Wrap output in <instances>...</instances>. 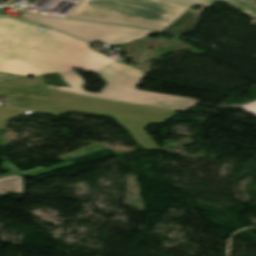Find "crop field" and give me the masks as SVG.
I'll return each instance as SVG.
<instances>
[{"mask_svg": "<svg viewBox=\"0 0 256 256\" xmlns=\"http://www.w3.org/2000/svg\"><path fill=\"white\" fill-rule=\"evenodd\" d=\"M195 19H196V12L194 10L189 9L179 19H177L171 26L162 30V32L176 34L179 32L186 31L192 27Z\"/></svg>", "mask_w": 256, "mask_h": 256, "instance_id": "obj_7", "label": "crop field"}, {"mask_svg": "<svg viewBox=\"0 0 256 256\" xmlns=\"http://www.w3.org/2000/svg\"><path fill=\"white\" fill-rule=\"evenodd\" d=\"M208 0H83L66 17L162 30Z\"/></svg>", "mask_w": 256, "mask_h": 256, "instance_id": "obj_3", "label": "crop field"}, {"mask_svg": "<svg viewBox=\"0 0 256 256\" xmlns=\"http://www.w3.org/2000/svg\"><path fill=\"white\" fill-rule=\"evenodd\" d=\"M236 106H240L256 116V102H253V103L247 104V105H236ZM220 107H229V106H220Z\"/></svg>", "mask_w": 256, "mask_h": 256, "instance_id": "obj_10", "label": "crop field"}, {"mask_svg": "<svg viewBox=\"0 0 256 256\" xmlns=\"http://www.w3.org/2000/svg\"><path fill=\"white\" fill-rule=\"evenodd\" d=\"M215 0L208 1L204 6H208ZM238 8L239 10L247 13L251 17H256V0H223ZM214 3V2H213Z\"/></svg>", "mask_w": 256, "mask_h": 256, "instance_id": "obj_8", "label": "crop field"}, {"mask_svg": "<svg viewBox=\"0 0 256 256\" xmlns=\"http://www.w3.org/2000/svg\"><path fill=\"white\" fill-rule=\"evenodd\" d=\"M76 165L75 163H69V162H65V163H61V164H57L55 166L49 167L47 169H44L42 167H38V168H34L31 170H27V171H19L12 163H10L7 159L2 163L1 165V169L8 171V172H16L19 173L21 175L27 176V177H36V176H40L43 174H47L53 171H57L69 166H73Z\"/></svg>", "mask_w": 256, "mask_h": 256, "instance_id": "obj_5", "label": "crop field"}, {"mask_svg": "<svg viewBox=\"0 0 256 256\" xmlns=\"http://www.w3.org/2000/svg\"><path fill=\"white\" fill-rule=\"evenodd\" d=\"M23 190L24 184L21 176L11 173L0 175V197L8 192L22 195Z\"/></svg>", "mask_w": 256, "mask_h": 256, "instance_id": "obj_6", "label": "crop field"}, {"mask_svg": "<svg viewBox=\"0 0 256 256\" xmlns=\"http://www.w3.org/2000/svg\"><path fill=\"white\" fill-rule=\"evenodd\" d=\"M0 95L11 97L8 106L63 113L78 110L114 116L137 139L144 149H160L143 130L148 123H161L176 111L82 97L46 88L44 78L0 82Z\"/></svg>", "mask_w": 256, "mask_h": 256, "instance_id": "obj_2", "label": "crop field"}, {"mask_svg": "<svg viewBox=\"0 0 256 256\" xmlns=\"http://www.w3.org/2000/svg\"><path fill=\"white\" fill-rule=\"evenodd\" d=\"M20 78H29V77H23V76H17V75L0 73V81L12 80V79H20Z\"/></svg>", "mask_w": 256, "mask_h": 256, "instance_id": "obj_11", "label": "crop field"}, {"mask_svg": "<svg viewBox=\"0 0 256 256\" xmlns=\"http://www.w3.org/2000/svg\"><path fill=\"white\" fill-rule=\"evenodd\" d=\"M37 0H27V3H31V4H33V3H35Z\"/></svg>", "mask_w": 256, "mask_h": 256, "instance_id": "obj_12", "label": "crop field"}, {"mask_svg": "<svg viewBox=\"0 0 256 256\" xmlns=\"http://www.w3.org/2000/svg\"><path fill=\"white\" fill-rule=\"evenodd\" d=\"M21 19L57 28L90 42L101 41L111 46L126 40H136L144 35L153 32L139 28H130L67 19L48 18L29 13H26L24 16L21 17Z\"/></svg>", "mask_w": 256, "mask_h": 256, "instance_id": "obj_4", "label": "crop field"}, {"mask_svg": "<svg viewBox=\"0 0 256 256\" xmlns=\"http://www.w3.org/2000/svg\"><path fill=\"white\" fill-rule=\"evenodd\" d=\"M37 26L0 16V72L30 77L57 72L72 89L47 87L156 108L186 111L198 103L195 99L135 90L145 74L89 48L86 42L50 29L40 32ZM72 68L95 72L107 85L100 94L85 92L82 86L86 82Z\"/></svg>", "mask_w": 256, "mask_h": 256, "instance_id": "obj_1", "label": "crop field"}, {"mask_svg": "<svg viewBox=\"0 0 256 256\" xmlns=\"http://www.w3.org/2000/svg\"><path fill=\"white\" fill-rule=\"evenodd\" d=\"M24 114L20 109L7 108L0 105V127L5 128L11 117Z\"/></svg>", "mask_w": 256, "mask_h": 256, "instance_id": "obj_9", "label": "crop field"}]
</instances>
